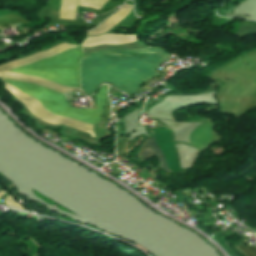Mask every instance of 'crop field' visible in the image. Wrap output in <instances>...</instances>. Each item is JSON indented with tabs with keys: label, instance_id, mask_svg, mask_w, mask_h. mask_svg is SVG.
<instances>
[{
	"label": "crop field",
	"instance_id": "obj_2",
	"mask_svg": "<svg viewBox=\"0 0 256 256\" xmlns=\"http://www.w3.org/2000/svg\"><path fill=\"white\" fill-rule=\"evenodd\" d=\"M78 47L80 46H72V45L62 43L46 51L30 55L26 58L13 61L8 64H4L0 66V77L15 79V80H22V81L31 82V83H37L59 92L81 91L79 90L80 89L79 62L82 58L81 48L63 52L58 54L55 57H51L56 55L59 52L78 48ZM47 57H51V58L42 59ZM35 61H38V62H35ZM32 62H35V63H32ZM26 64H30V65H26ZM23 65H26V66H23ZM20 66H23V67L18 68ZM14 68H18V69H14ZM11 69H14L11 72L26 73L34 76H41L45 79L55 81L64 85L72 86L75 88H79V89H75V88L64 86L55 82H51L41 77H34L26 74H17V73L8 72Z\"/></svg>",
	"mask_w": 256,
	"mask_h": 256
},
{
	"label": "crop field",
	"instance_id": "obj_1",
	"mask_svg": "<svg viewBox=\"0 0 256 256\" xmlns=\"http://www.w3.org/2000/svg\"><path fill=\"white\" fill-rule=\"evenodd\" d=\"M167 52V51H166ZM160 49L125 52L102 51L86 56L81 62V85L89 95L101 81H111L128 92L160 74L154 70L170 53Z\"/></svg>",
	"mask_w": 256,
	"mask_h": 256
},
{
	"label": "crop field",
	"instance_id": "obj_4",
	"mask_svg": "<svg viewBox=\"0 0 256 256\" xmlns=\"http://www.w3.org/2000/svg\"><path fill=\"white\" fill-rule=\"evenodd\" d=\"M4 84H5V88L9 90L17 98L18 101L22 102L28 108V110L38 118L52 125L64 124L68 127H72L83 132L91 133V136L95 137L92 125L77 121L72 118L53 115L49 111H47L41 105V103L35 98L18 91L16 88L12 87L6 82H4Z\"/></svg>",
	"mask_w": 256,
	"mask_h": 256
},
{
	"label": "crop field",
	"instance_id": "obj_13",
	"mask_svg": "<svg viewBox=\"0 0 256 256\" xmlns=\"http://www.w3.org/2000/svg\"><path fill=\"white\" fill-rule=\"evenodd\" d=\"M4 193H6L3 189L0 191V196L2 195V194H4Z\"/></svg>",
	"mask_w": 256,
	"mask_h": 256
},
{
	"label": "crop field",
	"instance_id": "obj_10",
	"mask_svg": "<svg viewBox=\"0 0 256 256\" xmlns=\"http://www.w3.org/2000/svg\"><path fill=\"white\" fill-rule=\"evenodd\" d=\"M234 34H236L239 37L245 36L248 34H256V26L242 27Z\"/></svg>",
	"mask_w": 256,
	"mask_h": 256
},
{
	"label": "crop field",
	"instance_id": "obj_9",
	"mask_svg": "<svg viewBox=\"0 0 256 256\" xmlns=\"http://www.w3.org/2000/svg\"><path fill=\"white\" fill-rule=\"evenodd\" d=\"M24 22L26 21L15 15L7 14L0 16V26Z\"/></svg>",
	"mask_w": 256,
	"mask_h": 256
},
{
	"label": "crop field",
	"instance_id": "obj_12",
	"mask_svg": "<svg viewBox=\"0 0 256 256\" xmlns=\"http://www.w3.org/2000/svg\"><path fill=\"white\" fill-rule=\"evenodd\" d=\"M4 202H5V204L7 205V206H11V207H18V208H21V209H23L15 200H13L11 197H7V198H5V200H4Z\"/></svg>",
	"mask_w": 256,
	"mask_h": 256
},
{
	"label": "crop field",
	"instance_id": "obj_7",
	"mask_svg": "<svg viewBox=\"0 0 256 256\" xmlns=\"http://www.w3.org/2000/svg\"><path fill=\"white\" fill-rule=\"evenodd\" d=\"M131 9L132 5H123L116 14L105 20L96 30L89 32L87 36L100 35L110 31Z\"/></svg>",
	"mask_w": 256,
	"mask_h": 256
},
{
	"label": "crop field",
	"instance_id": "obj_14",
	"mask_svg": "<svg viewBox=\"0 0 256 256\" xmlns=\"http://www.w3.org/2000/svg\"><path fill=\"white\" fill-rule=\"evenodd\" d=\"M2 188H0V190H1Z\"/></svg>",
	"mask_w": 256,
	"mask_h": 256
},
{
	"label": "crop field",
	"instance_id": "obj_6",
	"mask_svg": "<svg viewBox=\"0 0 256 256\" xmlns=\"http://www.w3.org/2000/svg\"><path fill=\"white\" fill-rule=\"evenodd\" d=\"M107 0H62V12L61 18L75 19L76 16V7L78 5L98 9L106 2Z\"/></svg>",
	"mask_w": 256,
	"mask_h": 256
},
{
	"label": "crop field",
	"instance_id": "obj_11",
	"mask_svg": "<svg viewBox=\"0 0 256 256\" xmlns=\"http://www.w3.org/2000/svg\"><path fill=\"white\" fill-rule=\"evenodd\" d=\"M244 256H256V247L236 246Z\"/></svg>",
	"mask_w": 256,
	"mask_h": 256
},
{
	"label": "crop field",
	"instance_id": "obj_5",
	"mask_svg": "<svg viewBox=\"0 0 256 256\" xmlns=\"http://www.w3.org/2000/svg\"><path fill=\"white\" fill-rule=\"evenodd\" d=\"M136 41L135 35L105 34L97 37H88L82 47H92L100 44H123Z\"/></svg>",
	"mask_w": 256,
	"mask_h": 256
},
{
	"label": "crop field",
	"instance_id": "obj_8",
	"mask_svg": "<svg viewBox=\"0 0 256 256\" xmlns=\"http://www.w3.org/2000/svg\"><path fill=\"white\" fill-rule=\"evenodd\" d=\"M154 155H156L159 158L162 168L166 171H169V169L165 163V160H164V158L159 150V147L154 139V136H153L150 140H148L145 143V147H144L143 151L141 152L140 156L143 157L144 160H146Z\"/></svg>",
	"mask_w": 256,
	"mask_h": 256
},
{
	"label": "crop field",
	"instance_id": "obj_3",
	"mask_svg": "<svg viewBox=\"0 0 256 256\" xmlns=\"http://www.w3.org/2000/svg\"><path fill=\"white\" fill-rule=\"evenodd\" d=\"M4 81L17 87L20 91L37 98L42 105L53 114L72 117L92 125H95L100 121V111L104 107L105 93L108 88L107 85H103L100 91L96 94V110L75 109L72 108L68 104L66 98L58 92L28 83L15 82L6 79H4Z\"/></svg>",
	"mask_w": 256,
	"mask_h": 256
}]
</instances>
